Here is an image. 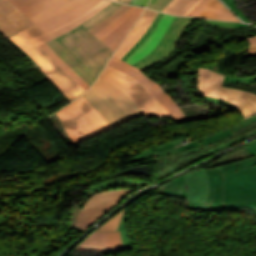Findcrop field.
I'll return each instance as SVG.
<instances>
[{
	"label": "crop field",
	"instance_id": "crop-field-1",
	"mask_svg": "<svg viewBox=\"0 0 256 256\" xmlns=\"http://www.w3.org/2000/svg\"><path fill=\"white\" fill-rule=\"evenodd\" d=\"M174 179L158 190L186 197V206L212 212L242 209L256 215V159L245 149Z\"/></svg>",
	"mask_w": 256,
	"mask_h": 256
},
{
	"label": "crop field",
	"instance_id": "crop-field-2",
	"mask_svg": "<svg viewBox=\"0 0 256 256\" xmlns=\"http://www.w3.org/2000/svg\"><path fill=\"white\" fill-rule=\"evenodd\" d=\"M35 25L18 33L26 41L85 13L101 0H11Z\"/></svg>",
	"mask_w": 256,
	"mask_h": 256
},
{
	"label": "crop field",
	"instance_id": "crop-field-3",
	"mask_svg": "<svg viewBox=\"0 0 256 256\" xmlns=\"http://www.w3.org/2000/svg\"><path fill=\"white\" fill-rule=\"evenodd\" d=\"M83 96L113 128L143 115L126 94L99 77Z\"/></svg>",
	"mask_w": 256,
	"mask_h": 256
},
{
	"label": "crop field",
	"instance_id": "crop-field-4",
	"mask_svg": "<svg viewBox=\"0 0 256 256\" xmlns=\"http://www.w3.org/2000/svg\"><path fill=\"white\" fill-rule=\"evenodd\" d=\"M56 40L96 79L114 53L83 26L59 36Z\"/></svg>",
	"mask_w": 256,
	"mask_h": 256
},
{
	"label": "crop field",
	"instance_id": "crop-field-5",
	"mask_svg": "<svg viewBox=\"0 0 256 256\" xmlns=\"http://www.w3.org/2000/svg\"><path fill=\"white\" fill-rule=\"evenodd\" d=\"M56 114L72 142H78L111 128L104 118L82 96Z\"/></svg>",
	"mask_w": 256,
	"mask_h": 256
},
{
	"label": "crop field",
	"instance_id": "crop-field-6",
	"mask_svg": "<svg viewBox=\"0 0 256 256\" xmlns=\"http://www.w3.org/2000/svg\"><path fill=\"white\" fill-rule=\"evenodd\" d=\"M99 77L125 92L144 116H170L165 107L131 75L106 65Z\"/></svg>",
	"mask_w": 256,
	"mask_h": 256
},
{
	"label": "crop field",
	"instance_id": "crop-field-7",
	"mask_svg": "<svg viewBox=\"0 0 256 256\" xmlns=\"http://www.w3.org/2000/svg\"><path fill=\"white\" fill-rule=\"evenodd\" d=\"M21 48H23L29 56H31L44 69V74L53 82V84L63 93V95L71 102L85 90L76 83L39 45L35 48L31 47L25 40L17 34L10 37ZM22 49V50H23Z\"/></svg>",
	"mask_w": 256,
	"mask_h": 256
},
{
	"label": "crop field",
	"instance_id": "crop-field-8",
	"mask_svg": "<svg viewBox=\"0 0 256 256\" xmlns=\"http://www.w3.org/2000/svg\"><path fill=\"white\" fill-rule=\"evenodd\" d=\"M137 188H117L93 194L81 208L76 226L86 230Z\"/></svg>",
	"mask_w": 256,
	"mask_h": 256
},
{
	"label": "crop field",
	"instance_id": "crop-field-9",
	"mask_svg": "<svg viewBox=\"0 0 256 256\" xmlns=\"http://www.w3.org/2000/svg\"><path fill=\"white\" fill-rule=\"evenodd\" d=\"M108 65L121 69L138 79L140 83L166 107L170 115L178 122V124L187 121L185 114L172 97L165 93L160 85L143 74L135 66L125 63L113 56L108 62Z\"/></svg>",
	"mask_w": 256,
	"mask_h": 256
},
{
	"label": "crop field",
	"instance_id": "crop-field-10",
	"mask_svg": "<svg viewBox=\"0 0 256 256\" xmlns=\"http://www.w3.org/2000/svg\"><path fill=\"white\" fill-rule=\"evenodd\" d=\"M193 19L194 18L176 17L158 46L141 61L133 65L143 71L170 55L176 48V43L181 34Z\"/></svg>",
	"mask_w": 256,
	"mask_h": 256
},
{
	"label": "crop field",
	"instance_id": "crop-field-11",
	"mask_svg": "<svg viewBox=\"0 0 256 256\" xmlns=\"http://www.w3.org/2000/svg\"><path fill=\"white\" fill-rule=\"evenodd\" d=\"M143 10L144 8L133 6L132 9L124 14L118 21L107 29L95 34V36L115 52L117 46L134 25Z\"/></svg>",
	"mask_w": 256,
	"mask_h": 256
},
{
	"label": "crop field",
	"instance_id": "crop-field-12",
	"mask_svg": "<svg viewBox=\"0 0 256 256\" xmlns=\"http://www.w3.org/2000/svg\"><path fill=\"white\" fill-rule=\"evenodd\" d=\"M33 23L10 1L0 0V34L8 38Z\"/></svg>",
	"mask_w": 256,
	"mask_h": 256
},
{
	"label": "crop field",
	"instance_id": "crop-field-13",
	"mask_svg": "<svg viewBox=\"0 0 256 256\" xmlns=\"http://www.w3.org/2000/svg\"><path fill=\"white\" fill-rule=\"evenodd\" d=\"M74 250L110 253L123 250L119 232L103 233L94 231Z\"/></svg>",
	"mask_w": 256,
	"mask_h": 256
},
{
	"label": "crop field",
	"instance_id": "crop-field-14",
	"mask_svg": "<svg viewBox=\"0 0 256 256\" xmlns=\"http://www.w3.org/2000/svg\"><path fill=\"white\" fill-rule=\"evenodd\" d=\"M157 14H158L157 11L145 9L140 20L130 31V33L128 34L126 39L123 41L119 49L116 51L114 56L121 59L134 46V44L142 37V35L145 33V31L154 21Z\"/></svg>",
	"mask_w": 256,
	"mask_h": 256
},
{
	"label": "crop field",
	"instance_id": "crop-field-15",
	"mask_svg": "<svg viewBox=\"0 0 256 256\" xmlns=\"http://www.w3.org/2000/svg\"><path fill=\"white\" fill-rule=\"evenodd\" d=\"M188 16L241 22L218 0H202Z\"/></svg>",
	"mask_w": 256,
	"mask_h": 256
},
{
	"label": "crop field",
	"instance_id": "crop-field-16",
	"mask_svg": "<svg viewBox=\"0 0 256 256\" xmlns=\"http://www.w3.org/2000/svg\"><path fill=\"white\" fill-rule=\"evenodd\" d=\"M174 19V16L164 14L162 19L155 27L151 36L138 48V50L130 58L128 57L129 59L126 60V62L133 64L141 60L144 56L151 52L159 43L165 31Z\"/></svg>",
	"mask_w": 256,
	"mask_h": 256
},
{
	"label": "crop field",
	"instance_id": "crop-field-17",
	"mask_svg": "<svg viewBox=\"0 0 256 256\" xmlns=\"http://www.w3.org/2000/svg\"><path fill=\"white\" fill-rule=\"evenodd\" d=\"M221 99H225L237 106L245 118L256 112V95L242 90L222 87Z\"/></svg>",
	"mask_w": 256,
	"mask_h": 256
},
{
	"label": "crop field",
	"instance_id": "crop-field-18",
	"mask_svg": "<svg viewBox=\"0 0 256 256\" xmlns=\"http://www.w3.org/2000/svg\"><path fill=\"white\" fill-rule=\"evenodd\" d=\"M111 1L108 0H103L101 1L98 5H96L94 8H92L91 10H89L88 12H86L85 14L81 15L80 17H78L77 19L45 34L42 35L40 37H37L33 40L28 41V43L30 45H32L33 47L44 43L50 39H53L61 34H63L64 32L80 25L82 22H84L85 20L89 19L90 17H92L94 14H96L98 11H100L102 8H104L106 5H108Z\"/></svg>",
	"mask_w": 256,
	"mask_h": 256
},
{
	"label": "crop field",
	"instance_id": "crop-field-19",
	"mask_svg": "<svg viewBox=\"0 0 256 256\" xmlns=\"http://www.w3.org/2000/svg\"><path fill=\"white\" fill-rule=\"evenodd\" d=\"M223 75L199 67V93L219 98Z\"/></svg>",
	"mask_w": 256,
	"mask_h": 256
},
{
	"label": "crop field",
	"instance_id": "crop-field-20",
	"mask_svg": "<svg viewBox=\"0 0 256 256\" xmlns=\"http://www.w3.org/2000/svg\"><path fill=\"white\" fill-rule=\"evenodd\" d=\"M46 43L91 86L95 79L55 39Z\"/></svg>",
	"mask_w": 256,
	"mask_h": 256
},
{
	"label": "crop field",
	"instance_id": "crop-field-21",
	"mask_svg": "<svg viewBox=\"0 0 256 256\" xmlns=\"http://www.w3.org/2000/svg\"><path fill=\"white\" fill-rule=\"evenodd\" d=\"M201 0H172L163 12L187 16Z\"/></svg>",
	"mask_w": 256,
	"mask_h": 256
},
{
	"label": "crop field",
	"instance_id": "crop-field-22",
	"mask_svg": "<svg viewBox=\"0 0 256 256\" xmlns=\"http://www.w3.org/2000/svg\"><path fill=\"white\" fill-rule=\"evenodd\" d=\"M43 49L76 81L78 82L86 91L90 87L80 76H78L46 43L41 44Z\"/></svg>",
	"mask_w": 256,
	"mask_h": 256
},
{
	"label": "crop field",
	"instance_id": "crop-field-23",
	"mask_svg": "<svg viewBox=\"0 0 256 256\" xmlns=\"http://www.w3.org/2000/svg\"><path fill=\"white\" fill-rule=\"evenodd\" d=\"M131 6L123 4L121 7H119L114 13H112L108 18H106L104 21L96 25L95 27L89 29L93 34L105 29L110 24L118 20L124 13H126L128 10H130Z\"/></svg>",
	"mask_w": 256,
	"mask_h": 256
},
{
	"label": "crop field",
	"instance_id": "crop-field-24",
	"mask_svg": "<svg viewBox=\"0 0 256 256\" xmlns=\"http://www.w3.org/2000/svg\"><path fill=\"white\" fill-rule=\"evenodd\" d=\"M121 3H115L112 2L107 7H105L103 10H101L99 13H97L95 16L90 18L89 20L85 21L81 25H83L85 28H90L102 20H104L106 17H108L112 12H114L119 6H121Z\"/></svg>",
	"mask_w": 256,
	"mask_h": 256
},
{
	"label": "crop field",
	"instance_id": "crop-field-25",
	"mask_svg": "<svg viewBox=\"0 0 256 256\" xmlns=\"http://www.w3.org/2000/svg\"><path fill=\"white\" fill-rule=\"evenodd\" d=\"M163 16V13H159L158 16L156 17L155 21L153 24L150 26V28L146 31V33L143 35V37L135 44V46L122 58V60H126L128 57H130L136 50L137 48L149 37V35L152 33L154 27L158 23V21L161 19Z\"/></svg>",
	"mask_w": 256,
	"mask_h": 256
},
{
	"label": "crop field",
	"instance_id": "crop-field-26",
	"mask_svg": "<svg viewBox=\"0 0 256 256\" xmlns=\"http://www.w3.org/2000/svg\"><path fill=\"white\" fill-rule=\"evenodd\" d=\"M124 210L117 213L115 216H113L111 219H109L107 222H105L97 230H99V231H114V230H116L119 225V222H120V219H121V216H122Z\"/></svg>",
	"mask_w": 256,
	"mask_h": 256
},
{
	"label": "crop field",
	"instance_id": "crop-field-27",
	"mask_svg": "<svg viewBox=\"0 0 256 256\" xmlns=\"http://www.w3.org/2000/svg\"><path fill=\"white\" fill-rule=\"evenodd\" d=\"M241 39H246L250 45V47H248V49L244 52L241 58L255 56L256 55V37H247V38H241Z\"/></svg>",
	"mask_w": 256,
	"mask_h": 256
},
{
	"label": "crop field",
	"instance_id": "crop-field-28",
	"mask_svg": "<svg viewBox=\"0 0 256 256\" xmlns=\"http://www.w3.org/2000/svg\"><path fill=\"white\" fill-rule=\"evenodd\" d=\"M208 23L223 27V28H237V27H244L248 26L242 23H235V22H225V21H215V20H207Z\"/></svg>",
	"mask_w": 256,
	"mask_h": 256
},
{
	"label": "crop field",
	"instance_id": "crop-field-29",
	"mask_svg": "<svg viewBox=\"0 0 256 256\" xmlns=\"http://www.w3.org/2000/svg\"><path fill=\"white\" fill-rule=\"evenodd\" d=\"M201 98H204L212 103H216V104H220V105H224V106H227L229 108H232V109H235L237 110L240 114L241 112L239 111L238 108H236L234 105H232L231 103L225 101V100H221V99H217V98H212V97H208V96H203V95H197ZM241 116L244 118V116L241 114Z\"/></svg>",
	"mask_w": 256,
	"mask_h": 256
},
{
	"label": "crop field",
	"instance_id": "crop-field-30",
	"mask_svg": "<svg viewBox=\"0 0 256 256\" xmlns=\"http://www.w3.org/2000/svg\"><path fill=\"white\" fill-rule=\"evenodd\" d=\"M170 1L171 0H152L147 7L162 11Z\"/></svg>",
	"mask_w": 256,
	"mask_h": 256
},
{
	"label": "crop field",
	"instance_id": "crop-field-31",
	"mask_svg": "<svg viewBox=\"0 0 256 256\" xmlns=\"http://www.w3.org/2000/svg\"><path fill=\"white\" fill-rule=\"evenodd\" d=\"M235 13H237L244 21L252 23L235 5L234 0H223Z\"/></svg>",
	"mask_w": 256,
	"mask_h": 256
},
{
	"label": "crop field",
	"instance_id": "crop-field-32",
	"mask_svg": "<svg viewBox=\"0 0 256 256\" xmlns=\"http://www.w3.org/2000/svg\"><path fill=\"white\" fill-rule=\"evenodd\" d=\"M223 82L253 83V82H256V79H250V78H235V77L225 76Z\"/></svg>",
	"mask_w": 256,
	"mask_h": 256
},
{
	"label": "crop field",
	"instance_id": "crop-field-33",
	"mask_svg": "<svg viewBox=\"0 0 256 256\" xmlns=\"http://www.w3.org/2000/svg\"><path fill=\"white\" fill-rule=\"evenodd\" d=\"M80 210L81 209H79V208H75L74 211L72 212L71 217H70V229H73Z\"/></svg>",
	"mask_w": 256,
	"mask_h": 256
},
{
	"label": "crop field",
	"instance_id": "crop-field-34",
	"mask_svg": "<svg viewBox=\"0 0 256 256\" xmlns=\"http://www.w3.org/2000/svg\"><path fill=\"white\" fill-rule=\"evenodd\" d=\"M245 148L256 158V140L253 142L244 145ZM242 146V147H244Z\"/></svg>",
	"mask_w": 256,
	"mask_h": 256
},
{
	"label": "crop field",
	"instance_id": "crop-field-35",
	"mask_svg": "<svg viewBox=\"0 0 256 256\" xmlns=\"http://www.w3.org/2000/svg\"><path fill=\"white\" fill-rule=\"evenodd\" d=\"M149 0H132L131 5L146 7Z\"/></svg>",
	"mask_w": 256,
	"mask_h": 256
},
{
	"label": "crop field",
	"instance_id": "crop-field-36",
	"mask_svg": "<svg viewBox=\"0 0 256 256\" xmlns=\"http://www.w3.org/2000/svg\"><path fill=\"white\" fill-rule=\"evenodd\" d=\"M74 229L77 230V231H79V232H81V233L84 232V230H82V229H80V228H78V227H76V226H75Z\"/></svg>",
	"mask_w": 256,
	"mask_h": 256
},
{
	"label": "crop field",
	"instance_id": "crop-field-37",
	"mask_svg": "<svg viewBox=\"0 0 256 256\" xmlns=\"http://www.w3.org/2000/svg\"><path fill=\"white\" fill-rule=\"evenodd\" d=\"M131 0H121V2H124L126 4H129Z\"/></svg>",
	"mask_w": 256,
	"mask_h": 256
},
{
	"label": "crop field",
	"instance_id": "crop-field-38",
	"mask_svg": "<svg viewBox=\"0 0 256 256\" xmlns=\"http://www.w3.org/2000/svg\"><path fill=\"white\" fill-rule=\"evenodd\" d=\"M115 1H118V0H115Z\"/></svg>",
	"mask_w": 256,
	"mask_h": 256
}]
</instances>
